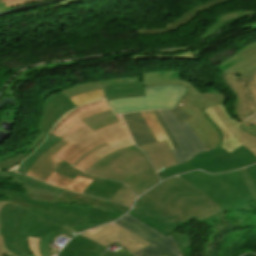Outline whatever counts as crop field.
Returning a JSON list of instances; mask_svg holds the SVG:
<instances>
[{"label": "crop field", "instance_id": "obj_1", "mask_svg": "<svg viewBox=\"0 0 256 256\" xmlns=\"http://www.w3.org/2000/svg\"><path fill=\"white\" fill-rule=\"evenodd\" d=\"M86 172L125 182L136 196L143 194L160 181L146 155L135 145L108 154Z\"/></svg>", "mask_w": 256, "mask_h": 256}, {"label": "crop field", "instance_id": "obj_2", "mask_svg": "<svg viewBox=\"0 0 256 256\" xmlns=\"http://www.w3.org/2000/svg\"><path fill=\"white\" fill-rule=\"evenodd\" d=\"M117 118L120 122L104 127L95 132L89 129L85 124L80 123L66 136H64V138L72 143L56 156L72 164L91 148L104 142L109 143L110 145L94 152L76 166L84 171L108 153L121 147L133 145V140L121 116L117 115Z\"/></svg>", "mask_w": 256, "mask_h": 256}, {"label": "crop field", "instance_id": "obj_3", "mask_svg": "<svg viewBox=\"0 0 256 256\" xmlns=\"http://www.w3.org/2000/svg\"><path fill=\"white\" fill-rule=\"evenodd\" d=\"M179 177L208 197L223 212L234 210L250 212L248 202L256 201L238 171L216 175L194 171L179 175Z\"/></svg>", "mask_w": 256, "mask_h": 256}, {"label": "crop field", "instance_id": "obj_4", "mask_svg": "<svg viewBox=\"0 0 256 256\" xmlns=\"http://www.w3.org/2000/svg\"><path fill=\"white\" fill-rule=\"evenodd\" d=\"M142 196L187 221L218 209L210 200L179 177L163 181Z\"/></svg>", "mask_w": 256, "mask_h": 256}, {"label": "crop field", "instance_id": "obj_5", "mask_svg": "<svg viewBox=\"0 0 256 256\" xmlns=\"http://www.w3.org/2000/svg\"><path fill=\"white\" fill-rule=\"evenodd\" d=\"M15 186L25 189L28 196L16 191L3 190L8 201L27 208L31 210L30 212L59 226L89 223L87 207L52 202L55 197L42 194L23 185Z\"/></svg>", "mask_w": 256, "mask_h": 256}, {"label": "crop field", "instance_id": "obj_6", "mask_svg": "<svg viewBox=\"0 0 256 256\" xmlns=\"http://www.w3.org/2000/svg\"><path fill=\"white\" fill-rule=\"evenodd\" d=\"M255 163L256 156L243 145L231 153L219 147L208 150L185 164L163 170L166 175L160 177V179L164 180L194 169H202L209 173H221Z\"/></svg>", "mask_w": 256, "mask_h": 256}, {"label": "crop field", "instance_id": "obj_7", "mask_svg": "<svg viewBox=\"0 0 256 256\" xmlns=\"http://www.w3.org/2000/svg\"><path fill=\"white\" fill-rule=\"evenodd\" d=\"M186 89L183 85L145 87L146 96L122 98L107 102L115 114L149 109H169L176 106Z\"/></svg>", "mask_w": 256, "mask_h": 256}, {"label": "crop field", "instance_id": "obj_8", "mask_svg": "<svg viewBox=\"0 0 256 256\" xmlns=\"http://www.w3.org/2000/svg\"><path fill=\"white\" fill-rule=\"evenodd\" d=\"M128 213L158 229L165 236L172 234L183 252H187V247L191 246L190 236H183L174 232L186 221L162 209L150 200L141 196L136 201L133 210Z\"/></svg>", "mask_w": 256, "mask_h": 256}, {"label": "crop field", "instance_id": "obj_9", "mask_svg": "<svg viewBox=\"0 0 256 256\" xmlns=\"http://www.w3.org/2000/svg\"><path fill=\"white\" fill-rule=\"evenodd\" d=\"M70 142L61 139L53 147L42 154L33 164L27 175L36 179L43 180L66 189H72L83 193L92 180L78 176L75 180L58 175L55 172L58 165L63 162L54 157L59 151L66 147Z\"/></svg>", "mask_w": 256, "mask_h": 256}, {"label": "crop field", "instance_id": "obj_10", "mask_svg": "<svg viewBox=\"0 0 256 256\" xmlns=\"http://www.w3.org/2000/svg\"><path fill=\"white\" fill-rule=\"evenodd\" d=\"M116 222L152 244L131 256H160L162 253L167 256H183L182 250L172 235L165 237L156 229L128 213Z\"/></svg>", "mask_w": 256, "mask_h": 256}, {"label": "crop field", "instance_id": "obj_11", "mask_svg": "<svg viewBox=\"0 0 256 256\" xmlns=\"http://www.w3.org/2000/svg\"><path fill=\"white\" fill-rule=\"evenodd\" d=\"M203 112L221 132V147L231 152L243 144L250 151L256 153V136L239 128L242 123L230 118L225 104L205 109Z\"/></svg>", "mask_w": 256, "mask_h": 256}, {"label": "crop field", "instance_id": "obj_12", "mask_svg": "<svg viewBox=\"0 0 256 256\" xmlns=\"http://www.w3.org/2000/svg\"><path fill=\"white\" fill-rule=\"evenodd\" d=\"M157 112L179 147L171 150L177 164L185 163L195 155L206 151L187 121L181 125L170 110H158Z\"/></svg>", "mask_w": 256, "mask_h": 256}, {"label": "crop field", "instance_id": "obj_13", "mask_svg": "<svg viewBox=\"0 0 256 256\" xmlns=\"http://www.w3.org/2000/svg\"><path fill=\"white\" fill-rule=\"evenodd\" d=\"M143 80L144 86L184 84V86L189 87L190 89L185 93L183 98L201 109L209 108L224 102L223 95L217 91L212 90L204 95L197 92L192 88L191 84L180 79L179 72L147 73L144 74Z\"/></svg>", "mask_w": 256, "mask_h": 256}, {"label": "crop field", "instance_id": "obj_14", "mask_svg": "<svg viewBox=\"0 0 256 256\" xmlns=\"http://www.w3.org/2000/svg\"><path fill=\"white\" fill-rule=\"evenodd\" d=\"M81 235L91 240H94L104 246L110 245L118 241L132 254L151 245L147 241L129 232L115 222L106 226L94 228L85 233H81Z\"/></svg>", "mask_w": 256, "mask_h": 256}, {"label": "crop field", "instance_id": "obj_15", "mask_svg": "<svg viewBox=\"0 0 256 256\" xmlns=\"http://www.w3.org/2000/svg\"><path fill=\"white\" fill-rule=\"evenodd\" d=\"M77 106L63 93L53 94L47 97L46 104L37 129L42 130L43 135L27 151L31 153L35 150L44 138L48 135L54 124L69 110Z\"/></svg>", "mask_w": 256, "mask_h": 256}, {"label": "crop field", "instance_id": "obj_16", "mask_svg": "<svg viewBox=\"0 0 256 256\" xmlns=\"http://www.w3.org/2000/svg\"><path fill=\"white\" fill-rule=\"evenodd\" d=\"M181 109L185 110L193 118L188 120L193 130L202 140L206 150L219 147L221 143V134L214 127V125L208 120V118L203 114L201 109L192 105L188 101L182 100L177 105Z\"/></svg>", "mask_w": 256, "mask_h": 256}, {"label": "crop field", "instance_id": "obj_17", "mask_svg": "<svg viewBox=\"0 0 256 256\" xmlns=\"http://www.w3.org/2000/svg\"><path fill=\"white\" fill-rule=\"evenodd\" d=\"M62 229L26 210L19 221V229L17 235L18 245L26 252L28 256H34L28 247L27 236L41 238L45 234Z\"/></svg>", "mask_w": 256, "mask_h": 256}, {"label": "crop field", "instance_id": "obj_18", "mask_svg": "<svg viewBox=\"0 0 256 256\" xmlns=\"http://www.w3.org/2000/svg\"><path fill=\"white\" fill-rule=\"evenodd\" d=\"M24 211L25 209L12 203L5 204L0 210V228L5 246L18 256H27L16 241L18 220Z\"/></svg>", "mask_w": 256, "mask_h": 256}, {"label": "crop field", "instance_id": "obj_19", "mask_svg": "<svg viewBox=\"0 0 256 256\" xmlns=\"http://www.w3.org/2000/svg\"><path fill=\"white\" fill-rule=\"evenodd\" d=\"M109 110L104 99L78 107L71 112L67 113L55 126L51 134L63 137L76 125L81 119L91 116L93 114Z\"/></svg>", "mask_w": 256, "mask_h": 256}, {"label": "crop field", "instance_id": "obj_20", "mask_svg": "<svg viewBox=\"0 0 256 256\" xmlns=\"http://www.w3.org/2000/svg\"><path fill=\"white\" fill-rule=\"evenodd\" d=\"M236 75L225 73L227 86H230L232 90L237 94L238 101L237 106L234 107V115L242 119L247 114L253 112L255 109L252 105L250 95L246 86V77L242 81H237Z\"/></svg>", "mask_w": 256, "mask_h": 256}, {"label": "crop field", "instance_id": "obj_21", "mask_svg": "<svg viewBox=\"0 0 256 256\" xmlns=\"http://www.w3.org/2000/svg\"><path fill=\"white\" fill-rule=\"evenodd\" d=\"M239 57L243 60L225 72L248 77L256 69V43L245 46L237 54L218 64V67Z\"/></svg>", "mask_w": 256, "mask_h": 256}, {"label": "crop field", "instance_id": "obj_22", "mask_svg": "<svg viewBox=\"0 0 256 256\" xmlns=\"http://www.w3.org/2000/svg\"><path fill=\"white\" fill-rule=\"evenodd\" d=\"M139 148L148 155L157 173L177 165L166 141L140 146Z\"/></svg>", "mask_w": 256, "mask_h": 256}, {"label": "crop field", "instance_id": "obj_23", "mask_svg": "<svg viewBox=\"0 0 256 256\" xmlns=\"http://www.w3.org/2000/svg\"><path fill=\"white\" fill-rule=\"evenodd\" d=\"M105 249V247L77 235L57 256H100Z\"/></svg>", "mask_w": 256, "mask_h": 256}, {"label": "crop field", "instance_id": "obj_24", "mask_svg": "<svg viewBox=\"0 0 256 256\" xmlns=\"http://www.w3.org/2000/svg\"><path fill=\"white\" fill-rule=\"evenodd\" d=\"M137 146L155 143L156 140L141 112L122 115Z\"/></svg>", "mask_w": 256, "mask_h": 256}, {"label": "crop field", "instance_id": "obj_25", "mask_svg": "<svg viewBox=\"0 0 256 256\" xmlns=\"http://www.w3.org/2000/svg\"><path fill=\"white\" fill-rule=\"evenodd\" d=\"M106 100L145 95L143 82H123L101 84Z\"/></svg>", "mask_w": 256, "mask_h": 256}, {"label": "crop field", "instance_id": "obj_26", "mask_svg": "<svg viewBox=\"0 0 256 256\" xmlns=\"http://www.w3.org/2000/svg\"><path fill=\"white\" fill-rule=\"evenodd\" d=\"M129 210L130 209L125 206L109 202L105 203L97 209L88 207L89 221L90 223H107L115 221Z\"/></svg>", "mask_w": 256, "mask_h": 256}, {"label": "crop field", "instance_id": "obj_27", "mask_svg": "<svg viewBox=\"0 0 256 256\" xmlns=\"http://www.w3.org/2000/svg\"><path fill=\"white\" fill-rule=\"evenodd\" d=\"M122 185V183L105 179L101 183L93 181L85 190L84 194L109 200Z\"/></svg>", "mask_w": 256, "mask_h": 256}, {"label": "crop field", "instance_id": "obj_28", "mask_svg": "<svg viewBox=\"0 0 256 256\" xmlns=\"http://www.w3.org/2000/svg\"><path fill=\"white\" fill-rule=\"evenodd\" d=\"M56 202H61L64 204H72L73 202L78 203L79 205L89 206V207H99L104 204L106 201L91 198L88 196L80 195L74 192L64 190L57 198Z\"/></svg>", "mask_w": 256, "mask_h": 256}, {"label": "crop field", "instance_id": "obj_29", "mask_svg": "<svg viewBox=\"0 0 256 256\" xmlns=\"http://www.w3.org/2000/svg\"><path fill=\"white\" fill-rule=\"evenodd\" d=\"M60 139V137H56L50 134L46 138V140L40 145V147L27 159L24 160V162L18 167L17 172L26 174L27 171L30 169L31 165L35 162V160Z\"/></svg>", "mask_w": 256, "mask_h": 256}, {"label": "crop field", "instance_id": "obj_30", "mask_svg": "<svg viewBox=\"0 0 256 256\" xmlns=\"http://www.w3.org/2000/svg\"><path fill=\"white\" fill-rule=\"evenodd\" d=\"M88 127L93 131L98 130L104 126L110 125L112 123L118 122L115 115L112 114L111 110L93 115L82 120Z\"/></svg>", "mask_w": 256, "mask_h": 256}, {"label": "crop field", "instance_id": "obj_31", "mask_svg": "<svg viewBox=\"0 0 256 256\" xmlns=\"http://www.w3.org/2000/svg\"><path fill=\"white\" fill-rule=\"evenodd\" d=\"M224 1H227V0H215V1L208 2V3H206V4L202 5V6L194 9L192 12L188 13L187 15L182 17L181 19L177 20L176 22H174L173 24L169 25L168 27H166V28H164L162 30H140V31H137V32L140 33V34H143V33H162V32L171 31V30L175 29L176 27H178L179 25H181L184 22H186L187 20H189L192 17H194V15L198 11H200V10H202L204 8H207V7L219 4V3L224 2Z\"/></svg>", "mask_w": 256, "mask_h": 256}, {"label": "crop field", "instance_id": "obj_32", "mask_svg": "<svg viewBox=\"0 0 256 256\" xmlns=\"http://www.w3.org/2000/svg\"><path fill=\"white\" fill-rule=\"evenodd\" d=\"M248 14H254V12L253 11H243V12L239 11L237 13L226 14V15L221 16V17H216L218 22L213 27H211L207 31H205L199 39L202 40V39H205V38L209 37L214 32H216L218 29H220L222 26L238 19L241 16H245V15H248Z\"/></svg>", "mask_w": 256, "mask_h": 256}, {"label": "crop field", "instance_id": "obj_33", "mask_svg": "<svg viewBox=\"0 0 256 256\" xmlns=\"http://www.w3.org/2000/svg\"><path fill=\"white\" fill-rule=\"evenodd\" d=\"M146 122L148 123L151 131L153 132L157 142L166 140L170 149H173L167 135L159 125L158 121L156 120L155 116L153 115L152 111L149 112H142Z\"/></svg>", "mask_w": 256, "mask_h": 256}, {"label": "crop field", "instance_id": "obj_34", "mask_svg": "<svg viewBox=\"0 0 256 256\" xmlns=\"http://www.w3.org/2000/svg\"><path fill=\"white\" fill-rule=\"evenodd\" d=\"M23 185L32 188L34 190L43 192L45 194L51 195V196H55L57 197L58 194H60L64 189L62 188H58V187H54L52 185H47L44 184L42 182H39L33 178H27V180L23 183Z\"/></svg>", "mask_w": 256, "mask_h": 256}, {"label": "crop field", "instance_id": "obj_35", "mask_svg": "<svg viewBox=\"0 0 256 256\" xmlns=\"http://www.w3.org/2000/svg\"><path fill=\"white\" fill-rule=\"evenodd\" d=\"M56 173L73 178V179H75L78 175H80V176H83V177H86V178H89L92 180H97L99 182H101V180H102L101 178H97L92 175H87V174L77 170L76 168L71 167L69 164H67L65 162H63L62 164L59 165V167L56 170Z\"/></svg>", "mask_w": 256, "mask_h": 256}, {"label": "crop field", "instance_id": "obj_36", "mask_svg": "<svg viewBox=\"0 0 256 256\" xmlns=\"http://www.w3.org/2000/svg\"><path fill=\"white\" fill-rule=\"evenodd\" d=\"M136 198L124 184L110 200L131 207Z\"/></svg>", "mask_w": 256, "mask_h": 256}, {"label": "crop field", "instance_id": "obj_37", "mask_svg": "<svg viewBox=\"0 0 256 256\" xmlns=\"http://www.w3.org/2000/svg\"><path fill=\"white\" fill-rule=\"evenodd\" d=\"M103 97V93L102 90H96L90 93H86V94H82V95H78V96H74V97H70V99L77 105L80 106L82 104L88 103V102H92L95 100H99L102 99Z\"/></svg>", "mask_w": 256, "mask_h": 256}, {"label": "crop field", "instance_id": "obj_38", "mask_svg": "<svg viewBox=\"0 0 256 256\" xmlns=\"http://www.w3.org/2000/svg\"><path fill=\"white\" fill-rule=\"evenodd\" d=\"M133 60H149V59H183L195 61L192 50L186 53L179 54L177 56H132Z\"/></svg>", "mask_w": 256, "mask_h": 256}, {"label": "crop field", "instance_id": "obj_39", "mask_svg": "<svg viewBox=\"0 0 256 256\" xmlns=\"http://www.w3.org/2000/svg\"><path fill=\"white\" fill-rule=\"evenodd\" d=\"M99 88H101L100 87V82H96V83H89V84H84V85L76 86V87H73V88H69V89H66L63 92L68 97H70V96L78 95V94H81V93L93 91V90L99 89Z\"/></svg>", "mask_w": 256, "mask_h": 256}, {"label": "crop field", "instance_id": "obj_40", "mask_svg": "<svg viewBox=\"0 0 256 256\" xmlns=\"http://www.w3.org/2000/svg\"><path fill=\"white\" fill-rule=\"evenodd\" d=\"M36 71H38V69H37V67H34V68H30L26 71L21 72L19 75H17L14 79H12L10 81V83L7 85V87L3 91V94L14 96V92L12 91L13 86L18 82L24 81V79L27 76H29L30 74H32L33 72H36Z\"/></svg>", "mask_w": 256, "mask_h": 256}, {"label": "crop field", "instance_id": "obj_41", "mask_svg": "<svg viewBox=\"0 0 256 256\" xmlns=\"http://www.w3.org/2000/svg\"><path fill=\"white\" fill-rule=\"evenodd\" d=\"M28 156H29V154L20 152L4 161H1L0 169L8 170L11 167L15 166L16 164H18L19 162H21L23 159H25Z\"/></svg>", "mask_w": 256, "mask_h": 256}, {"label": "crop field", "instance_id": "obj_42", "mask_svg": "<svg viewBox=\"0 0 256 256\" xmlns=\"http://www.w3.org/2000/svg\"><path fill=\"white\" fill-rule=\"evenodd\" d=\"M67 231H69V230L63 229V230H58V231H56V232L49 233V234L45 235V236L41 239V241H40V243H39V250H40L42 256H50V255H49V251H48V243H49V240H50L52 237H54V236H56V235H58V234L67 232Z\"/></svg>", "mask_w": 256, "mask_h": 256}, {"label": "crop field", "instance_id": "obj_43", "mask_svg": "<svg viewBox=\"0 0 256 256\" xmlns=\"http://www.w3.org/2000/svg\"><path fill=\"white\" fill-rule=\"evenodd\" d=\"M247 86L256 109V70L248 77Z\"/></svg>", "mask_w": 256, "mask_h": 256}, {"label": "crop field", "instance_id": "obj_44", "mask_svg": "<svg viewBox=\"0 0 256 256\" xmlns=\"http://www.w3.org/2000/svg\"><path fill=\"white\" fill-rule=\"evenodd\" d=\"M8 177H12L13 180H8L7 183H11V184H22L27 177L25 176H21L18 175L16 173H12L9 171H2L0 172V178H8Z\"/></svg>", "mask_w": 256, "mask_h": 256}, {"label": "crop field", "instance_id": "obj_45", "mask_svg": "<svg viewBox=\"0 0 256 256\" xmlns=\"http://www.w3.org/2000/svg\"><path fill=\"white\" fill-rule=\"evenodd\" d=\"M240 175L242 176L244 182L246 183L247 187L249 188L251 194L256 193V187L253 184L252 180L248 176L247 172L245 169L239 170Z\"/></svg>", "mask_w": 256, "mask_h": 256}, {"label": "crop field", "instance_id": "obj_46", "mask_svg": "<svg viewBox=\"0 0 256 256\" xmlns=\"http://www.w3.org/2000/svg\"><path fill=\"white\" fill-rule=\"evenodd\" d=\"M98 225H101V224H80V225H68V226H64V227L79 233L83 230H86V229H89V228H92V227H95Z\"/></svg>", "mask_w": 256, "mask_h": 256}, {"label": "crop field", "instance_id": "obj_47", "mask_svg": "<svg viewBox=\"0 0 256 256\" xmlns=\"http://www.w3.org/2000/svg\"><path fill=\"white\" fill-rule=\"evenodd\" d=\"M171 111L176 116V118L180 121L181 124L185 122L187 119L191 118L190 115H188L185 111L181 110L178 107H176Z\"/></svg>", "mask_w": 256, "mask_h": 256}, {"label": "crop field", "instance_id": "obj_48", "mask_svg": "<svg viewBox=\"0 0 256 256\" xmlns=\"http://www.w3.org/2000/svg\"><path fill=\"white\" fill-rule=\"evenodd\" d=\"M0 195H4L2 189H0ZM5 203H8V202L0 201V209H1V207H2ZM4 254L11 256V255H13L14 253L10 252L8 249H6V248L4 247L3 240H2V236L0 235V256H4Z\"/></svg>", "mask_w": 256, "mask_h": 256}, {"label": "crop field", "instance_id": "obj_49", "mask_svg": "<svg viewBox=\"0 0 256 256\" xmlns=\"http://www.w3.org/2000/svg\"><path fill=\"white\" fill-rule=\"evenodd\" d=\"M1 2H6L7 10L21 6L23 4H28L25 0H1Z\"/></svg>", "mask_w": 256, "mask_h": 256}, {"label": "crop field", "instance_id": "obj_50", "mask_svg": "<svg viewBox=\"0 0 256 256\" xmlns=\"http://www.w3.org/2000/svg\"><path fill=\"white\" fill-rule=\"evenodd\" d=\"M28 239H29V246H30L31 250L33 251L34 255L41 256V254L38 250V242L40 239L31 238V237H28Z\"/></svg>", "mask_w": 256, "mask_h": 256}, {"label": "crop field", "instance_id": "obj_51", "mask_svg": "<svg viewBox=\"0 0 256 256\" xmlns=\"http://www.w3.org/2000/svg\"><path fill=\"white\" fill-rule=\"evenodd\" d=\"M154 115L156 116L157 120L159 121L160 125L162 126V128L164 129V131L166 132V134L168 135L174 149L177 148L176 143L174 142L173 138L171 137L170 133L168 132L167 128L165 127L164 123L162 122L160 116L158 115V113L156 111H153Z\"/></svg>", "mask_w": 256, "mask_h": 256}, {"label": "crop field", "instance_id": "obj_52", "mask_svg": "<svg viewBox=\"0 0 256 256\" xmlns=\"http://www.w3.org/2000/svg\"><path fill=\"white\" fill-rule=\"evenodd\" d=\"M105 145H108L107 143L105 144H101L93 149H91L90 151H88L87 153H85L82 157H80L77 161H75L72 165L75 166L77 165L78 163H80L81 161H83L86 157H88L92 152L100 149L101 147L105 146Z\"/></svg>", "mask_w": 256, "mask_h": 256}, {"label": "crop field", "instance_id": "obj_53", "mask_svg": "<svg viewBox=\"0 0 256 256\" xmlns=\"http://www.w3.org/2000/svg\"><path fill=\"white\" fill-rule=\"evenodd\" d=\"M73 63H77V61H69V62H64V63H49V64H45V65H38L37 67L39 68V70H41L44 68H52V67L59 66V65H69V64H73Z\"/></svg>", "mask_w": 256, "mask_h": 256}, {"label": "crop field", "instance_id": "obj_54", "mask_svg": "<svg viewBox=\"0 0 256 256\" xmlns=\"http://www.w3.org/2000/svg\"><path fill=\"white\" fill-rule=\"evenodd\" d=\"M246 124L251 123L256 127V110L242 119Z\"/></svg>", "mask_w": 256, "mask_h": 256}, {"label": "crop field", "instance_id": "obj_55", "mask_svg": "<svg viewBox=\"0 0 256 256\" xmlns=\"http://www.w3.org/2000/svg\"><path fill=\"white\" fill-rule=\"evenodd\" d=\"M246 170L249 176L251 177V179L253 180L254 184L256 185V165L246 167Z\"/></svg>", "mask_w": 256, "mask_h": 256}, {"label": "crop field", "instance_id": "obj_56", "mask_svg": "<svg viewBox=\"0 0 256 256\" xmlns=\"http://www.w3.org/2000/svg\"><path fill=\"white\" fill-rule=\"evenodd\" d=\"M221 213H223V212H221L220 210H217V211H213V212L203 214V215L197 217V219L202 222V221H204L205 219H207L211 216L218 215V214H221Z\"/></svg>", "mask_w": 256, "mask_h": 256}, {"label": "crop field", "instance_id": "obj_57", "mask_svg": "<svg viewBox=\"0 0 256 256\" xmlns=\"http://www.w3.org/2000/svg\"><path fill=\"white\" fill-rule=\"evenodd\" d=\"M240 122L243 123L240 128H243L244 130L256 135V128L255 127L251 126L250 124L246 125L242 120Z\"/></svg>", "mask_w": 256, "mask_h": 256}, {"label": "crop field", "instance_id": "obj_58", "mask_svg": "<svg viewBox=\"0 0 256 256\" xmlns=\"http://www.w3.org/2000/svg\"><path fill=\"white\" fill-rule=\"evenodd\" d=\"M187 49H190V48H182V49L169 50V51H149V52H140V53H178Z\"/></svg>", "mask_w": 256, "mask_h": 256}, {"label": "crop field", "instance_id": "obj_59", "mask_svg": "<svg viewBox=\"0 0 256 256\" xmlns=\"http://www.w3.org/2000/svg\"><path fill=\"white\" fill-rule=\"evenodd\" d=\"M102 256H127V255L117 254V253H114L112 251L106 250Z\"/></svg>", "mask_w": 256, "mask_h": 256}, {"label": "crop field", "instance_id": "obj_60", "mask_svg": "<svg viewBox=\"0 0 256 256\" xmlns=\"http://www.w3.org/2000/svg\"><path fill=\"white\" fill-rule=\"evenodd\" d=\"M5 10H6L5 3H0V12Z\"/></svg>", "mask_w": 256, "mask_h": 256}, {"label": "crop field", "instance_id": "obj_61", "mask_svg": "<svg viewBox=\"0 0 256 256\" xmlns=\"http://www.w3.org/2000/svg\"><path fill=\"white\" fill-rule=\"evenodd\" d=\"M36 1H40V0H30V1H27V2L32 3V2H36Z\"/></svg>", "mask_w": 256, "mask_h": 256}, {"label": "crop field", "instance_id": "obj_62", "mask_svg": "<svg viewBox=\"0 0 256 256\" xmlns=\"http://www.w3.org/2000/svg\"><path fill=\"white\" fill-rule=\"evenodd\" d=\"M17 168V166L13 167L12 169H10V171H15Z\"/></svg>", "mask_w": 256, "mask_h": 256}, {"label": "crop field", "instance_id": "obj_63", "mask_svg": "<svg viewBox=\"0 0 256 256\" xmlns=\"http://www.w3.org/2000/svg\"><path fill=\"white\" fill-rule=\"evenodd\" d=\"M253 196H254V197H255V199H256V194H254Z\"/></svg>", "mask_w": 256, "mask_h": 256}, {"label": "crop field", "instance_id": "obj_64", "mask_svg": "<svg viewBox=\"0 0 256 256\" xmlns=\"http://www.w3.org/2000/svg\"><path fill=\"white\" fill-rule=\"evenodd\" d=\"M161 256H164L163 254Z\"/></svg>", "mask_w": 256, "mask_h": 256}, {"label": "crop field", "instance_id": "obj_65", "mask_svg": "<svg viewBox=\"0 0 256 256\" xmlns=\"http://www.w3.org/2000/svg\"><path fill=\"white\" fill-rule=\"evenodd\" d=\"M6 183V182H5Z\"/></svg>", "mask_w": 256, "mask_h": 256}]
</instances>
